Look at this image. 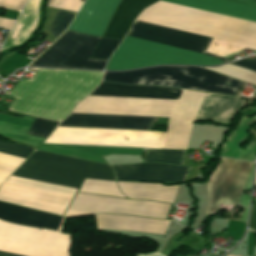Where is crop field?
<instances>
[{
  "mask_svg": "<svg viewBox=\"0 0 256 256\" xmlns=\"http://www.w3.org/2000/svg\"><path fill=\"white\" fill-rule=\"evenodd\" d=\"M191 52L202 53L222 61H230L205 52L211 38L135 21L127 35ZM125 37L121 46L108 61L106 70H130L160 64L219 65L220 60L142 40Z\"/></svg>",
  "mask_w": 256,
  "mask_h": 256,
  "instance_id": "8a807250",
  "label": "crop field"
},
{
  "mask_svg": "<svg viewBox=\"0 0 256 256\" xmlns=\"http://www.w3.org/2000/svg\"><path fill=\"white\" fill-rule=\"evenodd\" d=\"M103 72L42 69L22 80L9 95L10 111L61 121L100 82Z\"/></svg>",
  "mask_w": 256,
  "mask_h": 256,
  "instance_id": "ac0d7876",
  "label": "crop field"
},
{
  "mask_svg": "<svg viewBox=\"0 0 256 256\" xmlns=\"http://www.w3.org/2000/svg\"><path fill=\"white\" fill-rule=\"evenodd\" d=\"M103 80L125 84L166 85L235 95L242 82L201 68L159 67L132 72L106 73Z\"/></svg>",
  "mask_w": 256,
  "mask_h": 256,
  "instance_id": "34b2d1b8",
  "label": "crop field"
},
{
  "mask_svg": "<svg viewBox=\"0 0 256 256\" xmlns=\"http://www.w3.org/2000/svg\"><path fill=\"white\" fill-rule=\"evenodd\" d=\"M12 175L76 189L84 178L114 181L110 166L38 151Z\"/></svg>",
  "mask_w": 256,
  "mask_h": 256,
  "instance_id": "412701ff",
  "label": "crop field"
},
{
  "mask_svg": "<svg viewBox=\"0 0 256 256\" xmlns=\"http://www.w3.org/2000/svg\"><path fill=\"white\" fill-rule=\"evenodd\" d=\"M166 132L56 127L43 143L163 149Z\"/></svg>",
  "mask_w": 256,
  "mask_h": 256,
  "instance_id": "f4fd0767",
  "label": "crop field"
},
{
  "mask_svg": "<svg viewBox=\"0 0 256 256\" xmlns=\"http://www.w3.org/2000/svg\"><path fill=\"white\" fill-rule=\"evenodd\" d=\"M70 235L0 221V251L25 256H69Z\"/></svg>",
  "mask_w": 256,
  "mask_h": 256,
  "instance_id": "dd49c442",
  "label": "crop field"
},
{
  "mask_svg": "<svg viewBox=\"0 0 256 256\" xmlns=\"http://www.w3.org/2000/svg\"><path fill=\"white\" fill-rule=\"evenodd\" d=\"M99 37L67 31L32 66L103 70L106 61L89 59Z\"/></svg>",
  "mask_w": 256,
  "mask_h": 256,
  "instance_id": "e52e79f7",
  "label": "crop field"
},
{
  "mask_svg": "<svg viewBox=\"0 0 256 256\" xmlns=\"http://www.w3.org/2000/svg\"><path fill=\"white\" fill-rule=\"evenodd\" d=\"M253 163L221 158L207 183L209 204L205 214H214L221 205H238Z\"/></svg>",
  "mask_w": 256,
  "mask_h": 256,
  "instance_id": "d8731c3e",
  "label": "crop field"
},
{
  "mask_svg": "<svg viewBox=\"0 0 256 256\" xmlns=\"http://www.w3.org/2000/svg\"><path fill=\"white\" fill-rule=\"evenodd\" d=\"M169 206L150 201L125 200L77 193L64 216L109 213L166 219Z\"/></svg>",
  "mask_w": 256,
  "mask_h": 256,
  "instance_id": "5a996713",
  "label": "crop field"
},
{
  "mask_svg": "<svg viewBox=\"0 0 256 256\" xmlns=\"http://www.w3.org/2000/svg\"><path fill=\"white\" fill-rule=\"evenodd\" d=\"M117 180L184 181L191 168L168 164L111 165Z\"/></svg>",
  "mask_w": 256,
  "mask_h": 256,
  "instance_id": "3316defc",
  "label": "crop field"
},
{
  "mask_svg": "<svg viewBox=\"0 0 256 256\" xmlns=\"http://www.w3.org/2000/svg\"><path fill=\"white\" fill-rule=\"evenodd\" d=\"M120 0H86L67 30L101 36Z\"/></svg>",
  "mask_w": 256,
  "mask_h": 256,
  "instance_id": "28ad6ade",
  "label": "crop field"
},
{
  "mask_svg": "<svg viewBox=\"0 0 256 256\" xmlns=\"http://www.w3.org/2000/svg\"><path fill=\"white\" fill-rule=\"evenodd\" d=\"M155 118L71 113L59 126L149 130Z\"/></svg>",
  "mask_w": 256,
  "mask_h": 256,
  "instance_id": "d1516ede",
  "label": "crop field"
},
{
  "mask_svg": "<svg viewBox=\"0 0 256 256\" xmlns=\"http://www.w3.org/2000/svg\"><path fill=\"white\" fill-rule=\"evenodd\" d=\"M170 3H175L183 6H188L196 9H201L209 12H214L222 15L236 17L244 20L256 22V0H162Z\"/></svg>",
  "mask_w": 256,
  "mask_h": 256,
  "instance_id": "22f410ed",
  "label": "crop field"
},
{
  "mask_svg": "<svg viewBox=\"0 0 256 256\" xmlns=\"http://www.w3.org/2000/svg\"><path fill=\"white\" fill-rule=\"evenodd\" d=\"M174 92H171V91ZM182 89L133 86L102 81L91 95L121 96L152 99H178Z\"/></svg>",
  "mask_w": 256,
  "mask_h": 256,
  "instance_id": "cbeb9de0",
  "label": "crop field"
},
{
  "mask_svg": "<svg viewBox=\"0 0 256 256\" xmlns=\"http://www.w3.org/2000/svg\"><path fill=\"white\" fill-rule=\"evenodd\" d=\"M97 229H116L164 234L170 221L126 217L117 215H95Z\"/></svg>",
  "mask_w": 256,
  "mask_h": 256,
  "instance_id": "5142ce71",
  "label": "crop field"
},
{
  "mask_svg": "<svg viewBox=\"0 0 256 256\" xmlns=\"http://www.w3.org/2000/svg\"><path fill=\"white\" fill-rule=\"evenodd\" d=\"M39 150L106 163L101 155H142L143 149L42 144ZM107 164V163H106Z\"/></svg>",
  "mask_w": 256,
  "mask_h": 256,
  "instance_id": "d9b57169",
  "label": "crop field"
},
{
  "mask_svg": "<svg viewBox=\"0 0 256 256\" xmlns=\"http://www.w3.org/2000/svg\"><path fill=\"white\" fill-rule=\"evenodd\" d=\"M59 216L0 203V219L3 221L56 230Z\"/></svg>",
  "mask_w": 256,
  "mask_h": 256,
  "instance_id": "733c2abd",
  "label": "crop field"
},
{
  "mask_svg": "<svg viewBox=\"0 0 256 256\" xmlns=\"http://www.w3.org/2000/svg\"><path fill=\"white\" fill-rule=\"evenodd\" d=\"M158 0H122L103 37L123 39L133 20Z\"/></svg>",
  "mask_w": 256,
  "mask_h": 256,
  "instance_id": "4a817a6b",
  "label": "crop field"
},
{
  "mask_svg": "<svg viewBox=\"0 0 256 256\" xmlns=\"http://www.w3.org/2000/svg\"><path fill=\"white\" fill-rule=\"evenodd\" d=\"M121 192L128 198L174 202L178 186L165 187L160 184L117 182Z\"/></svg>",
  "mask_w": 256,
  "mask_h": 256,
  "instance_id": "bc2a9ffb",
  "label": "crop field"
},
{
  "mask_svg": "<svg viewBox=\"0 0 256 256\" xmlns=\"http://www.w3.org/2000/svg\"><path fill=\"white\" fill-rule=\"evenodd\" d=\"M39 3L40 0L28 1L1 51L22 44L35 30L38 21Z\"/></svg>",
  "mask_w": 256,
  "mask_h": 256,
  "instance_id": "214f88e0",
  "label": "crop field"
},
{
  "mask_svg": "<svg viewBox=\"0 0 256 256\" xmlns=\"http://www.w3.org/2000/svg\"><path fill=\"white\" fill-rule=\"evenodd\" d=\"M34 118L24 116L23 119L0 114V135L23 144L38 147L43 138L26 135Z\"/></svg>",
  "mask_w": 256,
  "mask_h": 256,
  "instance_id": "92a150f3",
  "label": "crop field"
},
{
  "mask_svg": "<svg viewBox=\"0 0 256 256\" xmlns=\"http://www.w3.org/2000/svg\"><path fill=\"white\" fill-rule=\"evenodd\" d=\"M79 192L123 197L115 182L85 179Z\"/></svg>",
  "mask_w": 256,
  "mask_h": 256,
  "instance_id": "dafd665d",
  "label": "crop field"
},
{
  "mask_svg": "<svg viewBox=\"0 0 256 256\" xmlns=\"http://www.w3.org/2000/svg\"><path fill=\"white\" fill-rule=\"evenodd\" d=\"M206 69L224 74L226 76L241 80L243 82L256 85V73L240 67L227 64L225 66H220L215 68H206Z\"/></svg>",
  "mask_w": 256,
  "mask_h": 256,
  "instance_id": "00972430",
  "label": "crop field"
},
{
  "mask_svg": "<svg viewBox=\"0 0 256 256\" xmlns=\"http://www.w3.org/2000/svg\"><path fill=\"white\" fill-rule=\"evenodd\" d=\"M216 44L218 45L217 47L215 46ZM245 47L249 48V49L256 50V48H254V47L245 46V45H241V44H237V43L228 42V41L213 38V40H212V42H211L207 51L211 52V53H214L216 55H219V56H223V55H226L228 53L234 52L236 50L243 49ZM236 54H239V52H236V53H233V54H230V55H226V56H223V57L227 58V57H230V56H233V55H236Z\"/></svg>",
  "mask_w": 256,
  "mask_h": 256,
  "instance_id": "a9b5d70f",
  "label": "crop field"
},
{
  "mask_svg": "<svg viewBox=\"0 0 256 256\" xmlns=\"http://www.w3.org/2000/svg\"><path fill=\"white\" fill-rule=\"evenodd\" d=\"M185 151H148L146 155L184 157ZM146 156V162L182 164L184 158Z\"/></svg>",
  "mask_w": 256,
  "mask_h": 256,
  "instance_id": "4177f3b9",
  "label": "crop field"
},
{
  "mask_svg": "<svg viewBox=\"0 0 256 256\" xmlns=\"http://www.w3.org/2000/svg\"><path fill=\"white\" fill-rule=\"evenodd\" d=\"M120 42L121 40L117 39L101 38L91 58L108 59Z\"/></svg>",
  "mask_w": 256,
  "mask_h": 256,
  "instance_id": "730fd06b",
  "label": "crop field"
},
{
  "mask_svg": "<svg viewBox=\"0 0 256 256\" xmlns=\"http://www.w3.org/2000/svg\"><path fill=\"white\" fill-rule=\"evenodd\" d=\"M59 122L35 118L28 134L46 138Z\"/></svg>",
  "mask_w": 256,
  "mask_h": 256,
  "instance_id": "eef30255",
  "label": "crop field"
},
{
  "mask_svg": "<svg viewBox=\"0 0 256 256\" xmlns=\"http://www.w3.org/2000/svg\"><path fill=\"white\" fill-rule=\"evenodd\" d=\"M73 16L74 14L72 13H68L60 10L58 11L55 17L54 23L49 30L55 36V38L63 32V30L70 23Z\"/></svg>",
  "mask_w": 256,
  "mask_h": 256,
  "instance_id": "ae1a2a85",
  "label": "crop field"
},
{
  "mask_svg": "<svg viewBox=\"0 0 256 256\" xmlns=\"http://www.w3.org/2000/svg\"><path fill=\"white\" fill-rule=\"evenodd\" d=\"M35 149L0 140V152L27 158Z\"/></svg>",
  "mask_w": 256,
  "mask_h": 256,
  "instance_id": "d3111659",
  "label": "crop field"
},
{
  "mask_svg": "<svg viewBox=\"0 0 256 256\" xmlns=\"http://www.w3.org/2000/svg\"><path fill=\"white\" fill-rule=\"evenodd\" d=\"M81 3L82 0H50L49 6L77 12Z\"/></svg>",
  "mask_w": 256,
  "mask_h": 256,
  "instance_id": "750c4746",
  "label": "crop field"
},
{
  "mask_svg": "<svg viewBox=\"0 0 256 256\" xmlns=\"http://www.w3.org/2000/svg\"><path fill=\"white\" fill-rule=\"evenodd\" d=\"M230 64L240 66V67H243V68H246V69H249V70H252V71L256 72V58L251 59V60L246 58V59H243L241 61L230 63Z\"/></svg>",
  "mask_w": 256,
  "mask_h": 256,
  "instance_id": "bd1437ed",
  "label": "crop field"
},
{
  "mask_svg": "<svg viewBox=\"0 0 256 256\" xmlns=\"http://www.w3.org/2000/svg\"><path fill=\"white\" fill-rule=\"evenodd\" d=\"M0 256H18V255H12V254H7V253L0 252Z\"/></svg>",
  "mask_w": 256,
  "mask_h": 256,
  "instance_id": "1d83c4d3",
  "label": "crop field"
},
{
  "mask_svg": "<svg viewBox=\"0 0 256 256\" xmlns=\"http://www.w3.org/2000/svg\"><path fill=\"white\" fill-rule=\"evenodd\" d=\"M227 256H230V255H227Z\"/></svg>",
  "mask_w": 256,
  "mask_h": 256,
  "instance_id": "120bbe31",
  "label": "crop field"
},
{
  "mask_svg": "<svg viewBox=\"0 0 256 256\" xmlns=\"http://www.w3.org/2000/svg\"><path fill=\"white\" fill-rule=\"evenodd\" d=\"M255 185H256V183H255Z\"/></svg>",
  "mask_w": 256,
  "mask_h": 256,
  "instance_id": "d32e631a",
  "label": "crop field"
}]
</instances>
